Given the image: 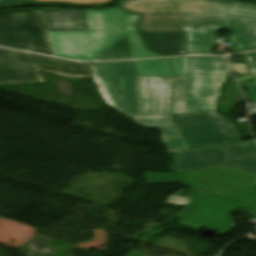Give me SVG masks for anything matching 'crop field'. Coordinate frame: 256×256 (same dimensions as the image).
<instances>
[{"label": "crop field", "mask_w": 256, "mask_h": 256, "mask_svg": "<svg viewBox=\"0 0 256 256\" xmlns=\"http://www.w3.org/2000/svg\"><path fill=\"white\" fill-rule=\"evenodd\" d=\"M185 15V50L211 54L213 37L222 28L232 34L230 48L256 46V5L220 0H176Z\"/></svg>", "instance_id": "1"}, {"label": "crop field", "mask_w": 256, "mask_h": 256, "mask_svg": "<svg viewBox=\"0 0 256 256\" xmlns=\"http://www.w3.org/2000/svg\"><path fill=\"white\" fill-rule=\"evenodd\" d=\"M89 31L50 32L58 57L93 61L127 35L133 58L164 57L147 51L134 25L140 15L119 8L85 10Z\"/></svg>", "instance_id": "2"}, {"label": "crop field", "mask_w": 256, "mask_h": 256, "mask_svg": "<svg viewBox=\"0 0 256 256\" xmlns=\"http://www.w3.org/2000/svg\"><path fill=\"white\" fill-rule=\"evenodd\" d=\"M174 116L191 149L223 144L230 155L246 159L256 157V142H239L240 136L221 115L200 113Z\"/></svg>", "instance_id": "3"}, {"label": "crop field", "mask_w": 256, "mask_h": 256, "mask_svg": "<svg viewBox=\"0 0 256 256\" xmlns=\"http://www.w3.org/2000/svg\"><path fill=\"white\" fill-rule=\"evenodd\" d=\"M66 77H90L89 63H77L35 54L0 49V84L42 81L37 71Z\"/></svg>", "instance_id": "4"}, {"label": "crop field", "mask_w": 256, "mask_h": 256, "mask_svg": "<svg viewBox=\"0 0 256 256\" xmlns=\"http://www.w3.org/2000/svg\"><path fill=\"white\" fill-rule=\"evenodd\" d=\"M185 113L215 112L220 86L229 71L225 58L187 57Z\"/></svg>", "instance_id": "5"}, {"label": "crop field", "mask_w": 256, "mask_h": 256, "mask_svg": "<svg viewBox=\"0 0 256 256\" xmlns=\"http://www.w3.org/2000/svg\"><path fill=\"white\" fill-rule=\"evenodd\" d=\"M184 186L256 202V174L222 166L177 173Z\"/></svg>", "instance_id": "6"}, {"label": "crop field", "mask_w": 256, "mask_h": 256, "mask_svg": "<svg viewBox=\"0 0 256 256\" xmlns=\"http://www.w3.org/2000/svg\"><path fill=\"white\" fill-rule=\"evenodd\" d=\"M0 45L53 55L40 11L0 12Z\"/></svg>", "instance_id": "7"}, {"label": "crop field", "mask_w": 256, "mask_h": 256, "mask_svg": "<svg viewBox=\"0 0 256 256\" xmlns=\"http://www.w3.org/2000/svg\"><path fill=\"white\" fill-rule=\"evenodd\" d=\"M92 69L109 103L127 116H139L133 62L93 63Z\"/></svg>", "instance_id": "8"}, {"label": "crop field", "mask_w": 256, "mask_h": 256, "mask_svg": "<svg viewBox=\"0 0 256 256\" xmlns=\"http://www.w3.org/2000/svg\"><path fill=\"white\" fill-rule=\"evenodd\" d=\"M239 207L256 210V203L195 190L194 204L178 224L196 230L212 227L225 234L230 231V224L233 223L230 216Z\"/></svg>", "instance_id": "9"}, {"label": "crop field", "mask_w": 256, "mask_h": 256, "mask_svg": "<svg viewBox=\"0 0 256 256\" xmlns=\"http://www.w3.org/2000/svg\"><path fill=\"white\" fill-rule=\"evenodd\" d=\"M116 6L141 14L138 32H184V15L175 0H120Z\"/></svg>", "instance_id": "10"}, {"label": "crop field", "mask_w": 256, "mask_h": 256, "mask_svg": "<svg viewBox=\"0 0 256 256\" xmlns=\"http://www.w3.org/2000/svg\"><path fill=\"white\" fill-rule=\"evenodd\" d=\"M175 172L229 165L256 173V159L245 160L228 156L223 147L194 149L174 155Z\"/></svg>", "instance_id": "11"}, {"label": "crop field", "mask_w": 256, "mask_h": 256, "mask_svg": "<svg viewBox=\"0 0 256 256\" xmlns=\"http://www.w3.org/2000/svg\"><path fill=\"white\" fill-rule=\"evenodd\" d=\"M136 80L140 116L172 114V77L136 76Z\"/></svg>", "instance_id": "12"}, {"label": "crop field", "mask_w": 256, "mask_h": 256, "mask_svg": "<svg viewBox=\"0 0 256 256\" xmlns=\"http://www.w3.org/2000/svg\"><path fill=\"white\" fill-rule=\"evenodd\" d=\"M139 126L143 128H155L163 136L160 138L170 153L185 151L188 145L175 124L172 115L131 117Z\"/></svg>", "instance_id": "13"}, {"label": "crop field", "mask_w": 256, "mask_h": 256, "mask_svg": "<svg viewBox=\"0 0 256 256\" xmlns=\"http://www.w3.org/2000/svg\"><path fill=\"white\" fill-rule=\"evenodd\" d=\"M47 31L88 30L84 9H41Z\"/></svg>", "instance_id": "14"}, {"label": "crop field", "mask_w": 256, "mask_h": 256, "mask_svg": "<svg viewBox=\"0 0 256 256\" xmlns=\"http://www.w3.org/2000/svg\"><path fill=\"white\" fill-rule=\"evenodd\" d=\"M147 49L165 55H185L183 33H140ZM179 51L184 53L179 54Z\"/></svg>", "instance_id": "15"}, {"label": "crop field", "mask_w": 256, "mask_h": 256, "mask_svg": "<svg viewBox=\"0 0 256 256\" xmlns=\"http://www.w3.org/2000/svg\"><path fill=\"white\" fill-rule=\"evenodd\" d=\"M139 76H174L167 59L135 61Z\"/></svg>", "instance_id": "16"}, {"label": "crop field", "mask_w": 256, "mask_h": 256, "mask_svg": "<svg viewBox=\"0 0 256 256\" xmlns=\"http://www.w3.org/2000/svg\"><path fill=\"white\" fill-rule=\"evenodd\" d=\"M249 74L237 75L239 83H245L250 101H256V53L242 55Z\"/></svg>", "instance_id": "17"}, {"label": "crop field", "mask_w": 256, "mask_h": 256, "mask_svg": "<svg viewBox=\"0 0 256 256\" xmlns=\"http://www.w3.org/2000/svg\"><path fill=\"white\" fill-rule=\"evenodd\" d=\"M132 58L127 37L125 36L106 52L96 58L94 61L112 60V59H126Z\"/></svg>", "instance_id": "18"}, {"label": "crop field", "mask_w": 256, "mask_h": 256, "mask_svg": "<svg viewBox=\"0 0 256 256\" xmlns=\"http://www.w3.org/2000/svg\"><path fill=\"white\" fill-rule=\"evenodd\" d=\"M187 77H176L174 87V114L184 113Z\"/></svg>", "instance_id": "19"}, {"label": "crop field", "mask_w": 256, "mask_h": 256, "mask_svg": "<svg viewBox=\"0 0 256 256\" xmlns=\"http://www.w3.org/2000/svg\"><path fill=\"white\" fill-rule=\"evenodd\" d=\"M144 179L148 184L178 182L175 174H160V173L145 172Z\"/></svg>", "instance_id": "20"}, {"label": "crop field", "mask_w": 256, "mask_h": 256, "mask_svg": "<svg viewBox=\"0 0 256 256\" xmlns=\"http://www.w3.org/2000/svg\"><path fill=\"white\" fill-rule=\"evenodd\" d=\"M192 198H193V190L189 189L188 197L170 196L168 197V200L166 201V203L186 205L184 209L181 211V213L178 215V218H180L184 214V212L187 210V208L192 204Z\"/></svg>", "instance_id": "21"}, {"label": "crop field", "mask_w": 256, "mask_h": 256, "mask_svg": "<svg viewBox=\"0 0 256 256\" xmlns=\"http://www.w3.org/2000/svg\"><path fill=\"white\" fill-rule=\"evenodd\" d=\"M177 76H187L186 57L170 59Z\"/></svg>", "instance_id": "22"}, {"label": "crop field", "mask_w": 256, "mask_h": 256, "mask_svg": "<svg viewBox=\"0 0 256 256\" xmlns=\"http://www.w3.org/2000/svg\"><path fill=\"white\" fill-rule=\"evenodd\" d=\"M231 66H232L233 71L236 72L237 74L248 73L244 63L235 64V65H231Z\"/></svg>", "instance_id": "23"}, {"label": "crop field", "mask_w": 256, "mask_h": 256, "mask_svg": "<svg viewBox=\"0 0 256 256\" xmlns=\"http://www.w3.org/2000/svg\"><path fill=\"white\" fill-rule=\"evenodd\" d=\"M36 1H63V2H75V3H96L97 0H36Z\"/></svg>", "instance_id": "24"}, {"label": "crop field", "mask_w": 256, "mask_h": 256, "mask_svg": "<svg viewBox=\"0 0 256 256\" xmlns=\"http://www.w3.org/2000/svg\"><path fill=\"white\" fill-rule=\"evenodd\" d=\"M35 0H4L3 4H12V3H19V2H30Z\"/></svg>", "instance_id": "25"}, {"label": "crop field", "mask_w": 256, "mask_h": 256, "mask_svg": "<svg viewBox=\"0 0 256 256\" xmlns=\"http://www.w3.org/2000/svg\"><path fill=\"white\" fill-rule=\"evenodd\" d=\"M242 50L251 51V50H255V47H252V48H245V49H237V50H234L233 52H238V51H242Z\"/></svg>", "instance_id": "26"}, {"label": "crop field", "mask_w": 256, "mask_h": 256, "mask_svg": "<svg viewBox=\"0 0 256 256\" xmlns=\"http://www.w3.org/2000/svg\"><path fill=\"white\" fill-rule=\"evenodd\" d=\"M111 2V0H98L97 3H108Z\"/></svg>", "instance_id": "27"}, {"label": "crop field", "mask_w": 256, "mask_h": 256, "mask_svg": "<svg viewBox=\"0 0 256 256\" xmlns=\"http://www.w3.org/2000/svg\"><path fill=\"white\" fill-rule=\"evenodd\" d=\"M2 0H0V6H1Z\"/></svg>", "instance_id": "28"}]
</instances>
